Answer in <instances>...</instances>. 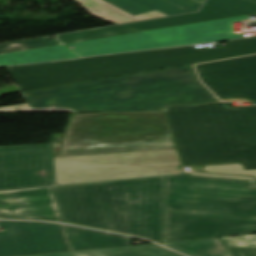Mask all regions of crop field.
I'll return each instance as SVG.
<instances>
[{"label":"crop field","instance_id":"obj_15","mask_svg":"<svg viewBox=\"0 0 256 256\" xmlns=\"http://www.w3.org/2000/svg\"><path fill=\"white\" fill-rule=\"evenodd\" d=\"M31 256H181L155 244Z\"/></svg>","mask_w":256,"mask_h":256},{"label":"crop field","instance_id":"obj_8","mask_svg":"<svg viewBox=\"0 0 256 256\" xmlns=\"http://www.w3.org/2000/svg\"><path fill=\"white\" fill-rule=\"evenodd\" d=\"M253 13H256V0H206L201 10L194 14L75 32L58 37L62 44H69Z\"/></svg>","mask_w":256,"mask_h":256},{"label":"crop field","instance_id":"obj_12","mask_svg":"<svg viewBox=\"0 0 256 256\" xmlns=\"http://www.w3.org/2000/svg\"><path fill=\"white\" fill-rule=\"evenodd\" d=\"M91 15L114 24L196 11L204 0H76Z\"/></svg>","mask_w":256,"mask_h":256},{"label":"crop field","instance_id":"obj_2","mask_svg":"<svg viewBox=\"0 0 256 256\" xmlns=\"http://www.w3.org/2000/svg\"><path fill=\"white\" fill-rule=\"evenodd\" d=\"M256 233L253 181L165 177L163 242Z\"/></svg>","mask_w":256,"mask_h":256},{"label":"crop field","instance_id":"obj_4","mask_svg":"<svg viewBox=\"0 0 256 256\" xmlns=\"http://www.w3.org/2000/svg\"><path fill=\"white\" fill-rule=\"evenodd\" d=\"M165 113L184 165L242 161L256 169V106L211 102Z\"/></svg>","mask_w":256,"mask_h":256},{"label":"crop field","instance_id":"obj_1","mask_svg":"<svg viewBox=\"0 0 256 256\" xmlns=\"http://www.w3.org/2000/svg\"><path fill=\"white\" fill-rule=\"evenodd\" d=\"M27 102L0 112L166 111L217 98L198 80L192 65L21 93Z\"/></svg>","mask_w":256,"mask_h":256},{"label":"crop field","instance_id":"obj_7","mask_svg":"<svg viewBox=\"0 0 256 256\" xmlns=\"http://www.w3.org/2000/svg\"><path fill=\"white\" fill-rule=\"evenodd\" d=\"M241 16L69 44L80 56L139 51L164 47L198 44L243 37L233 33L232 22Z\"/></svg>","mask_w":256,"mask_h":256},{"label":"crop field","instance_id":"obj_16","mask_svg":"<svg viewBox=\"0 0 256 256\" xmlns=\"http://www.w3.org/2000/svg\"><path fill=\"white\" fill-rule=\"evenodd\" d=\"M78 58L65 45L0 55V66Z\"/></svg>","mask_w":256,"mask_h":256},{"label":"crop field","instance_id":"obj_19","mask_svg":"<svg viewBox=\"0 0 256 256\" xmlns=\"http://www.w3.org/2000/svg\"><path fill=\"white\" fill-rule=\"evenodd\" d=\"M60 44L47 36L0 44V54Z\"/></svg>","mask_w":256,"mask_h":256},{"label":"crop field","instance_id":"obj_5","mask_svg":"<svg viewBox=\"0 0 256 256\" xmlns=\"http://www.w3.org/2000/svg\"><path fill=\"white\" fill-rule=\"evenodd\" d=\"M230 44L216 49L189 46L10 67L7 70L26 92L256 53V38L232 41Z\"/></svg>","mask_w":256,"mask_h":256},{"label":"crop field","instance_id":"obj_9","mask_svg":"<svg viewBox=\"0 0 256 256\" xmlns=\"http://www.w3.org/2000/svg\"><path fill=\"white\" fill-rule=\"evenodd\" d=\"M56 185L51 144L0 146V190Z\"/></svg>","mask_w":256,"mask_h":256},{"label":"crop field","instance_id":"obj_17","mask_svg":"<svg viewBox=\"0 0 256 256\" xmlns=\"http://www.w3.org/2000/svg\"><path fill=\"white\" fill-rule=\"evenodd\" d=\"M189 256H230L218 238L161 243Z\"/></svg>","mask_w":256,"mask_h":256},{"label":"crop field","instance_id":"obj_6","mask_svg":"<svg viewBox=\"0 0 256 256\" xmlns=\"http://www.w3.org/2000/svg\"><path fill=\"white\" fill-rule=\"evenodd\" d=\"M52 147L57 156L175 146L164 112H106L70 115L66 134L52 135Z\"/></svg>","mask_w":256,"mask_h":256},{"label":"crop field","instance_id":"obj_14","mask_svg":"<svg viewBox=\"0 0 256 256\" xmlns=\"http://www.w3.org/2000/svg\"><path fill=\"white\" fill-rule=\"evenodd\" d=\"M71 250L129 245L130 237L74 226L61 225Z\"/></svg>","mask_w":256,"mask_h":256},{"label":"crop field","instance_id":"obj_10","mask_svg":"<svg viewBox=\"0 0 256 256\" xmlns=\"http://www.w3.org/2000/svg\"><path fill=\"white\" fill-rule=\"evenodd\" d=\"M0 256H19L70 251L60 225L0 221Z\"/></svg>","mask_w":256,"mask_h":256},{"label":"crop field","instance_id":"obj_20","mask_svg":"<svg viewBox=\"0 0 256 256\" xmlns=\"http://www.w3.org/2000/svg\"><path fill=\"white\" fill-rule=\"evenodd\" d=\"M222 101H247V100H243V99H232V100H222Z\"/></svg>","mask_w":256,"mask_h":256},{"label":"crop field","instance_id":"obj_11","mask_svg":"<svg viewBox=\"0 0 256 256\" xmlns=\"http://www.w3.org/2000/svg\"><path fill=\"white\" fill-rule=\"evenodd\" d=\"M203 83L220 99L256 102V55L195 66Z\"/></svg>","mask_w":256,"mask_h":256},{"label":"crop field","instance_id":"obj_18","mask_svg":"<svg viewBox=\"0 0 256 256\" xmlns=\"http://www.w3.org/2000/svg\"><path fill=\"white\" fill-rule=\"evenodd\" d=\"M219 239L231 256H256V234Z\"/></svg>","mask_w":256,"mask_h":256},{"label":"crop field","instance_id":"obj_13","mask_svg":"<svg viewBox=\"0 0 256 256\" xmlns=\"http://www.w3.org/2000/svg\"><path fill=\"white\" fill-rule=\"evenodd\" d=\"M0 218L62 222L52 187L0 192Z\"/></svg>","mask_w":256,"mask_h":256},{"label":"crop field","instance_id":"obj_3","mask_svg":"<svg viewBox=\"0 0 256 256\" xmlns=\"http://www.w3.org/2000/svg\"><path fill=\"white\" fill-rule=\"evenodd\" d=\"M53 189L65 223L162 242L164 177Z\"/></svg>","mask_w":256,"mask_h":256}]
</instances>
